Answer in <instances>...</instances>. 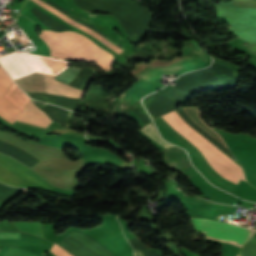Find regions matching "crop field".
<instances>
[{
    "instance_id": "obj_12",
    "label": "crop field",
    "mask_w": 256,
    "mask_h": 256,
    "mask_svg": "<svg viewBox=\"0 0 256 256\" xmlns=\"http://www.w3.org/2000/svg\"><path fill=\"white\" fill-rule=\"evenodd\" d=\"M19 232L32 233L38 236H43V232L41 229V223H26V222H14Z\"/></svg>"
},
{
    "instance_id": "obj_15",
    "label": "crop field",
    "mask_w": 256,
    "mask_h": 256,
    "mask_svg": "<svg viewBox=\"0 0 256 256\" xmlns=\"http://www.w3.org/2000/svg\"><path fill=\"white\" fill-rule=\"evenodd\" d=\"M29 235L24 233H7L0 232V238H9V239H28Z\"/></svg>"
},
{
    "instance_id": "obj_7",
    "label": "crop field",
    "mask_w": 256,
    "mask_h": 256,
    "mask_svg": "<svg viewBox=\"0 0 256 256\" xmlns=\"http://www.w3.org/2000/svg\"><path fill=\"white\" fill-rule=\"evenodd\" d=\"M59 245L75 256H114L104 246L81 232L71 231Z\"/></svg>"
},
{
    "instance_id": "obj_11",
    "label": "crop field",
    "mask_w": 256,
    "mask_h": 256,
    "mask_svg": "<svg viewBox=\"0 0 256 256\" xmlns=\"http://www.w3.org/2000/svg\"><path fill=\"white\" fill-rule=\"evenodd\" d=\"M141 131L144 132L151 139H153L155 142H157L159 145H161L162 147H164L166 150H168L171 153L180 149L176 146L170 145L167 142L163 141L150 124L148 126H146L144 129H142Z\"/></svg>"
},
{
    "instance_id": "obj_6",
    "label": "crop field",
    "mask_w": 256,
    "mask_h": 256,
    "mask_svg": "<svg viewBox=\"0 0 256 256\" xmlns=\"http://www.w3.org/2000/svg\"><path fill=\"white\" fill-rule=\"evenodd\" d=\"M184 45L185 47L182 50L184 56L200 49L199 45L196 43L195 40L184 41ZM207 63L208 58L206 57L204 51L200 49L194 53L185 56L168 68L148 66L136 75L147 81L164 72L174 73L181 70L205 65Z\"/></svg>"
},
{
    "instance_id": "obj_5",
    "label": "crop field",
    "mask_w": 256,
    "mask_h": 256,
    "mask_svg": "<svg viewBox=\"0 0 256 256\" xmlns=\"http://www.w3.org/2000/svg\"><path fill=\"white\" fill-rule=\"evenodd\" d=\"M0 181L12 186L35 184L45 188L53 186L25 165L0 154Z\"/></svg>"
},
{
    "instance_id": "obj_16",
    "label": "crop field",
    "mask_w": 256,
    "mask_h": 256,
    "mask_svg": "<svg viewBox=\"0 0 256 256\" xmlns=\"http://www.w3.org/2000/svg\"><path fill=\"white\" fill-rule=\"evenodd\" d=\"M50 251L53 252L56 256H71L69 253L55 244L52 246Z\"/></svg>"
},
{
    "instance_id": "obj_3",
    "label": "crop field",
    "mask_w": 256,
    "mask_h": 256,
    "mask_svg": "<svg viewBox=\"0 0 256 256\" xmlns=\"http://www.w3.org/2000/svg\"><path fill=\"white\" fill-rule=\"evenodd\" d=\"M237 184L244 179L242 168L187 126L175 111L159 117ZM245 180V179H244Z\"/></svg>"
},
{
    "instance_id": "obj_1",
    "label": "crop field",
    "mask_w": 256,
    "mask_h": 256,
    "mask_svg": "<svg viewBox=\"0 0 256 256\" xmlns=\"http://www.w3.org/2000/svg\"><path fill=\"white\" fill-rule=\"evenodd\" d=\"M21 56L26 60L27 63L51 67V68H57L62 70H65L67 66L71 64L66 60H62L58 58H51V57L44 58V57L27 55V54H21ZM21 56L17 51H15L0 57L1 64L13 79L33 73L32 69L37 72H43V73L54 74V75H58L61 72H63L62 70L51 69V68L29 64L32 68L31 69ZM37 72L15 79V82H17L25 91L48 92L49 90V92L65 94L75 98H80L84 94L82 89L73 87L70 85L62 84L53 79L55 76L45 74L47 85H48V90H47L44 74L37 73Z\"/></svg>"
},
{
    "instance_id": "obj_17",
    "label": "crop field",
    "mask_w": 256,
    "mask_h": 256,
    "mask_svg": "<svg viewBox=\"0 0 256 256\" xmlns=\"http://www.w3.org/2000/svg\"><path fill=\"white\" fill-rule=\"evenodd\" d=\"M252 49L256 50V45L254 47H252Z\"/></svg>"
},
{
    "instance_id": "obj_8",
    "label": "crop field",
    "mask_w": 256,
    "mask_h": 256,
    "mask_svg": "<svg viewBox=\"0 0 256 256\" xmlns=\"http://www.w3.org/2000/svg\"><path fill=\"white\" fill-rule=\"evenodd\" d=\"M33 1L38 3L39 5L43 6L44 8L48 9L49 11H51L54 14H56L57 16L61 17L62 19L66 20L67 22L71 23L72 25L76 26L77 28L81 29L82 31L86 32L87 34L91 35L92 37L96 38L97 40H99L100 42H102L105 45L109 46L110 48L114 49L115 51H117L119 53H121L123 51V50L119 49L118 47H116L115 45L111 44L110 42L106 41L102 37H100L97 34L93 33L89 29H87L84 26L80 25L79 23L75 22L71 18H69L66 15L62 14L58 10H56L53 7L49 6L45 2H43L41 0H33ZM49 1H52V2L57 3V4L62 6L65 3L66 0L65 1H63V0H49Z\"/></svg>"
},
{
    "instance_id": "obj_9",
    "label": "crop field",
    "mask_w": 256,
    "mask_h": 256,
    "mask_svg": "<svg viewBox=\"0 0 256 256\" xmlns=\"http://www.w3.org/2000/svg\"><path fill=\"white\" fill-rule=\"evenodd\" d=\"M4 98L20 112L30 100L14 83Z\"/></svg>"
},
{
    "instance_id": "obj_2",
    "label": "crop field",
    "mask_w": 256,
    "mask_h": 256,
    "mask_svg": "<svg viewBox=\"0 0 256 256\" xmlns=\"http://www.w3.org/2000/svg\"><path fill=\"white\" fill-rule=\"evenodd\" d=\"M39 37L48 44L53 57L78 61L90 60L105 69H110L113 65L114 58L111 54L76 32L42 31Z\"/></svg>"
},
{
    "instance_id": "obj_4",
    "label": "crop field",
    "mask_w": 256,
    "mask_h": 256,
    "mask_svg": "<svg viewBox=\"0 0 256 256\" xmlns=\"http://www.w3.org/2000/svg\"><path fill=\"white\" fill-rule=\"evenodd\" d=\"M196 232L204 233L205 237L224 241L236 245H242L249 239L250 229L229 225L215 220L190 218ZM255 231L251 232V236ZM250 236V237H251Z\"/></svg>"
},
{
    "instance_id": "obj_14",
    "label": "crop field",
    "mask_w": 256,
    "mask_h": 256,
    "mask_svg": "<svg viewBox=\"0 0 256 256\" xmlns=\"http://www.w3.org/2000/svg\"><path fill=\"white\" fill-rule=\"evenodd\" d=\"M4 256H35V255H33L23 249L9 247V249L4 254Z\"/></svg>"
},
{
    "instance_id": "obj_10",
    "label": "crop field",
    "mask_w": 256,
    "mask_h": 256,
    "mask_svg": "<svg viewBox=\"0 0 256 256\" xmlns=\"http://www.w3.org/2000/svg\"><path fill=\"white\" fill-rule=\"evenodd\" d=\"M183 111L194 121L196 122L200 127H202L205 131H207L209 134H211L213 137H215L218 141H220L224 146H226L225 142L222 140V138L217 134L214 130L210 129L200 118L201 112L194 108V107H184L182 108ZM227 147V146H226Z\"/></svg>"
},
{
    "instance_id": "obj_13",
    "label": "crop field",
    "mask_w": 256,
    "mask_h": 256,
    "mask_svg": "<svg viewBox=\"0 0 256 256\" xmlns=\"http://www.w3.org/2000/svg\"><path fill=\"white\" fill-rule=\"evenodd\" d=\"M243 251L250 254L251 256H256V238L251 237L242 247ZM238 253V256H250L245 252L241 251Z\"/></svg>"
}]
</instances>
